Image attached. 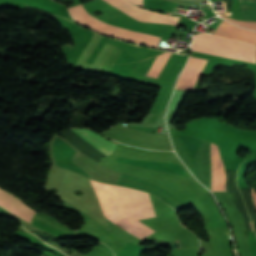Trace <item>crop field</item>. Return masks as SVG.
I'll return each mask as SVG.
<instances>
[{
    "mask_svg": "<svg viewBox=\"0 0 256 256\" xmlns=\"http://www.w3.org/2000/svg\"><path fill=\"white\" fill-rule=\"evenodd\" d=\"M256 46L209 34H197L192 41L193 51L255 62L253 53Z\"/></svg>",
    "mask_w": 256,
    "mask_h": 256,
    "instance_id": "obj_1",
    "label": "crop field"
},
{
    "mask_svg": "<svg viewBox=\"0 0 256 256\" xmlns=\"http://www.w3.org/2000/svg\"><path fill=\"white\" fill-rule=\"evenodd\" d=\"M125 192L133 220L155 216L147 193L130 188H125ZM116 225L139 240L149 237L157 232L136 220L117 223Z\"/></svg>",
    "mask_w": 256,
    "mask_h": 256,
    "instance_id": "obj_2",
    "label": "crop field"
},
{
    "mask_svg": "<svg viewBox=\"0 0 256 256\" xmlns=\"http://www.w3.org/2000/svg\"><path fill=\"white\" fill-rule=\"evenodd\" d=\"M72 17L80 24L90 27L98 32L115 36L118 38L138 42L140 44L156 47L159 40L158 37L131 32L122 28L112 27L106 24L99 23L90 18L83 10L82 6H75L69 9Z\"/></svg>",
    "mask_w": 256,
    "mask_h": 256,
    "instance_id": "obj_3",
    "label": "crop field"
},
{
    "mask_svg": "<svg viewBox=\"0 0 256 256\" xmlns=\"http://www.w3.org/2000/svg\"><path fill=\"white\" fill-rule=\"evenodd\" d=\"M200 180L211 191H226V175L219 151L211 143L210 158L196 163Z\"/></svg>",
    "mask_w": 256,
    "mask_h": 256,
    "instance_id": "obj_4",
    "label": "crop field"
},
{
    "mask_svg": "<svg viewBox=\"0 0 256 256\" xmlns=\"http://www.w3.org/2000/svg\"><path fill=\"white\" fill-rule=\"evenodd\" d=\"M113 6L119 8L126 14L146 22H158V23H166V24H173L176 25L179 17L175 16H167L161 13H155L151 11H147L144 9H141L135 5H132L124 0H106ZM105 1V2H106ZM108 3V4H109Z\"/></svg>",
    "mask_w": 256,
    "mask_h": 256,
    "instance_id": "obj_5",
    "label": "crop field"
},
{
    "mask_svg": "<svg viewBox=\"0 0 256 256\" xmlns=\"http://www.w3.org/2000/svg\"><path fill=\"white\" fill-rule=\"evenodd\" d=\"M205 63V60L190 57L188 64L181 73L175 88L192 90Z\"/></svg>",
    "mask_w": 256,
    "mask_h": 256,
    "instance_id": "obj_6",
    "label": "crop field"
},
{
    "mask_svg": "<svg viewBox=\"0 0 256 256\" xmlns=\"http://www.w3.org/2000/svg\"><path fill=\"white\" fill-rule=\"evenodd\" d=\"M214 34L238 40H243L247 42H252L256 44V32L241 29L224 20Z\"/></svg>",
    "mask_w": 256,
    "mask_h": 256,
    "instance_id": "obj_7",
    "label": "crop field"
},
{
    "mask_svg": "<svg viewBox=\"0 0 256 256\" xmlns=\"http://www.w3.org/2000/svg\"><path fill=\"white\" fill-rule=\"evenodd\" d=\"M75 133H77L79 136L84 138L86 141L91 143L93 146H95L97 149L105 153L106 155H110L115 147L116 144L104 139L101 135L85 130V129H71Z\"/></svg>",
    "mask_w": 256,
    "mask_h": 256,
    "instance_id": "obj_8",
    "label": "crop field"
},
{
    "mask_svg": "<svg viewBox=\"0 0 256 256\" xmlns=\"http://www.w3.org/2000/svg\"><path fill=\"white\" fill-rule=\"evenodd\" d=\"M0 190H2V189H0ZM2 191H3V190H2ZM2 191H0V193L3 194L5 197H7V198H8L9 200H11L12 202H14L15 204H17V205L23 207L24 209H26L27 211L31 212L32 214H35V213H36V212L32 211L31 209L27 208L26 206H24L23 203L20 202V201H19L17 198H15L14 196H12V195L9 196L10 194L7 195V194H8L7 192L3 191V192H5V193H7V194H5V193H3ZM4 196L0 195V199L3 200V201H5V202L8 203L9 205L13 206V207L16 208L17 210L21 211L22 213H24V214H26V215H28V216H30V217L33 218L34 215H32L31 213L27 212V211L24 210L23 208H21V207L15 205L14 203H12L11 201H9V200H8L7 198H5Z\"/></svg>",
    "mask_w": 256,
    "mask_h": 256,
    "instance_id": "obj_9",
    "label": "crop field"
},
{
    "mask_svg": "<svg viewBox=\"0 0 256 256\" xmlns=\"http://www.w3.org/2000/svg\"><path fill=\"white\" fill-rule=\"evenodd\" d=\"M222 16L224 19L230 21V22H233L237 25H240L242 27H246V28H250V29H255L256 30V22H250V21H239V20H233V19H230L224 15H220Z\"/></svg>",
    "mask_w": 256,
    "mask_h": 256,
    "instance_id": "obj_10",
    "label": "crop field"
},
{
    "mask_svg": "<svg viewBox=\"0 0 256 256\" xmlns=\"http://www.w3.org/2000/svg\"><path fill=\"white\" fill-rule=\"evenodd\" d=\"M154 81H155L154 78L145 77V79L143 80V83H147V84L153 85Z\"/></svg>",
    "mask_w": 256,
    "mask_h": 256,
    "instance_id": "obj_11",
    "label": "crop field"
},
{
    "mask_svg": "<svg viewBox=\"0 0 256 256\" xmlns=\"http://www.w3.org/2000/svg\"><path fill=\"white\" fill-rule=\"evenodd\" d=\"M129 1L141 6V0H129Z\"/></svg>",
    "mask_w": 256,
    "mask_h": 256,
    "instance_id": "obj_12",
    "label": "crop field"
},
{
    "mask_svg": "<svg viewBox=\"0 0 256 256\" xmlns=\"http://www.w3.org/2000/svg\"><path fill=\"white\" fill-rule=\"evenodd\" d=\"M253 198H254V202H255V205H256V193L253 192Z\"/></svg>",
    "mask_w": 256,
    "mask_h": 256,
    "instance_id": "obj_13",
    "label": "crop field"
},
{
    "mask_svg": "<svg viewBox=\"0 0 256 256\" xmlns=\"http://www.w3.org/2000/svg\"><path fill=\"white\" fill-rule=\"evenodd\" d=\"M250 224H251V229H252V231H254V230H253V226H252V223H251V222H250Z\"/></svg>",
    "mask_w": 256,
    "mask_h": 256,
    "instance_id": "obj_14",
    "label": "crop field"
},
{
    "mask_svg": "<svg viewBox=\"0 0 256 256\" xmlns=\"http://www.w3.org/2000/svg\"><path fill=\"white\" fill-rule=\"evenodd\" d=\"M255 58H256V54H255Z\"/></svg>",
    "mask_w": 256,
    "mask_h": 256,
    "instance_id": "obj_15",
    "label": "crop field"
}]
</instances>
